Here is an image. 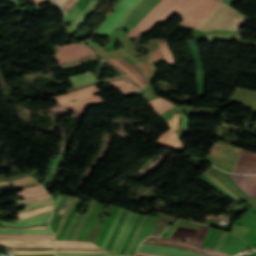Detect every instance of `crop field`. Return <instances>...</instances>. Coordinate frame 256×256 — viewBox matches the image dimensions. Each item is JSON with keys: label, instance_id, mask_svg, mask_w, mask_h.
Returning a JSON list of instances; mask_svg holds the SVG:
<instances>
[{"label": "crop field", "instance_id": "crop-field-1", "mask_svg": "<svg viewBox=\"0 0 256 256\" xmlns=\"http://www.w3.org/2000/svg\"><path fill=\"white\" fill-rule=\"evenodd\" d=\"M198 2L199 0H162L127 37L138 38L144 35L156 22H165L173 12L183 18Z\"/></svg>", "mask_w": 256, "mask_h": 256}, {"label": "crop field", "instance_id": "crop-field-2", "mask_svg": "<svg viewBox=\"0 0 256 256\" xmlns=\"http://www.w3.org/2000/svg\"><path fill=\"white\" fill-rule=\"evenodd\" d=\"M246 18L234 9L223 3H219L213 13L197 29L210 30H234L237 31Z\"/></svg>", "mask_w": 256, "mask_h": 256}, {"label": "crop field", "instance_id": "crop-field-3", "mask_svg": "<svg viewBox=\"0 0 256 256\" xmlns=\"http://www.w3.org/2000/svg\"><path fill=\"white\" fill-rule=\"evenodd\" d=\"M103 60L110 63L116 70L121 72L127 78V80L130 81L138 89H141L150 84L144 73L137 65H132L123 59Z\"/></svg>", "mask_w": 256, "mask_h": 256}, {"label": "crop field", "instance_id": "crop-field-4", "mask_svg": "<svg viewBox=\"0 0 256 256\" xmlns=\"http://www.w3.org/2000/svg\"><path fill=\"white\" fill-rule=\"evenodd\" d=\"M129 0H122L116 7L115 11L110 13L109 17L104 21V23L99 27L98 34L103 30L104 26L108 24L113 18L121 11V9L125 6V4ZM141 0H130L126 6L122 9V11L115 17V19L105 26L102 31V35L108 36L111 31L114 30L116 26H118L130 13V11L140 2Z\"/></svg>", "mask_w": 256, "mask_h": 256}, {"label": "crop field", "instance_id": "crop-field-5", "mask_svg": "<svg viewBox=\"0 0 256 256\" xmlns=\"http://www.w3.org/2000/svg\"><path fill=\"white\" fill-rule=\"evenodd\" d=\"M222 1V0H220ZM216 0H201L196 8L182 22L190 27L196 28L203 22L215 9L220 2Z\"/></svg>", "mask_w": 256, "mask_h": 256}, {"label": "crop field", "instance_id": "crop-field-6", "mask_svg": "<svg viewBox=\"0 0 256 256\" xmlns=\"http://www.w3.org/2000/svg\"><path fill=\"white\" fill-rule=\"evenodd\" d=\"M159 2L160 0H143L120 26L128 31L132 30Z\"/></svg>", "mask_w": 256, "mask_h": 256}, {"label": "crop field", "instance_id": "crop-field-7", "mask_svg": "<svg viewBox=\"0 0 256 256\" xmlns=\"http://www.w3.org/2000/svg\"><path fill=\"white\" fill-rule=\"evenodd\" d=\"M58 51L59 54L55 58L60 62L58 64L70 62L93 54L89 48L76 43L61 46Z\"/></svg>", "mask_w": 256, "mask_h": 256}, {"label": "crop field", "instance_id": "crop-field-8", "mask_svg": "<svg viewBox=\"0 0 256 256\" xmlns=\"http://www.w3.org/2000/svg\"><path fill=\"white\" fill-rule=\"evenodd\" d=\"M197 231H198V229L177 227V229L174 232L171 239L192 243L196 236ZM147 240L180 244V245L190 246V247H194V248H198V249H202V250L204 249V247H201L199 245L183 243V242H178V241H172V240H167V239H158V238H154V237H149V238H147Z\"/></svg>", "mask_w": 256, "mask_h": 256}, {"label": "crop field", "instance_id": "crop-field-9", "mask_svg": "<svg viewBox=\"0 0 256 256\" xmlns=\"http://www.w3.org/2000/svg\"><path fill=\"white\" fill-rule=\"evenodd\" d=\"M137 252L149 253L154 255H166V256H201L188 251L178 250L175 248L148 245V244H141Z\"/></svg>", "mask_w": 256, "mask_h": 256}, {"label": "crop field", "instance_id": "crop-field-10", "mask_svg": "<svg viewBox=\"0 0 256 256\" xmlns=\"http://www.w3.org/2000/svg\"><path fill=\"white\" fill-rule=\"evenodd\" d=\"M164 62L166 61L158 45L155 46L154 49L152 50L151 56L141 60H137V63L146 72L148 77L156 74L153 64L164 63Z\"/></svg>", "mask_w": 256, "mask_h": 256}, {"label": "crop field", "instance_id": "crop-field-11", "mask_svg": "<svg viewBox=\"0 0 256 256\" xmlns=\"http://www.w3.org/2000/svg\"><path fill=\"white\" fill-rule=\"evenodd\" d=\"M101 92L102 91L100 89H98L96 86H94V87H90V88H87V89H84V90H81L78 92L61 95V96H58V97H55L52 99L58 101L60 104H63V103L74 101L78 98H82V97H86V96H90V95H96Z\"/></svg>", "mask_w": 256, "mask_h": 256}, {"label": "crop field", "instance_id": "crop-field-12", "mask_svg": "<svg viewBox=\"0 0 256 256\" xmlns=\"http://www.w3.org/2000/svg\"><path fill=\"white\" fill-rule=\"evenodd\" d=\"M103 102L104 101L100 97L93 96V97L81 99V100H78L77 102L69 103L66 105L75 108V109H73L74 112H73L72 117H80L81 114H83L85 112L87 106L98 104V103H103Z\"/></svg>", "mask_w": 256, "mask_h": 256}, {"label": "crop field", "instance_id": "crop-field-13", "mask_svg": "<svg viewBox=\"0 0 256 256\" xmlns=\"http://www.w3.org/2000/svg\"><path fill=\"white\" fill-rule=\"evenodd\" d=\"M3 246L12 247H54V241H12L0 240Z\"/></svg>", "mask_w": 256, "mask_h": 256}, {"label": "crop field", "instance_id": "crop-field-14", "mask_svg": "<svg viewBox=\"0 0 256 256\" xmlns=\"http://www.w3.org/2000/svg\"><path fill=\"white\" fill-rule=\"evenodd\" d=\"M100 1L91 0L90 3L85 7V9L80 13V15L76 18L73 24L67 29L69 35L73 33L77 27L90 16V14L95 10Z\"/></svg>", "mask_w": 256, "mask_h": 256}, {"label": "crop field", "instance_id": "crop-field-15", "mask_svg": "<svg viewBox=\"0 0 256 256\" xmlns=\"http://www.w3.org/2000/svg\"><path fill=\"white\" fill-rule=\"evenodd\" d=\"M177 136L172 132L169 128L158 140L154 145L159 147L167 148L171 150L174 144L177 142Z\"/></svg>", "mask_w": 256, "mask_h": 256}, {"label": "crop field", "instance_id": "crop-field-16", "mask_svg": "<svg viewBox=\"0 0 256 256\" xmlns=\"http://www.w3.org/2000/svg\"><path fill=\"white\" fill-rule=\"evenodd\" d=\"M99 57H128L121 49L113 52H105L97 43L92 42L91 39L85 41Z\"/></svg>", "mask_w": 256, "mask_h": 256}, {"label": "crop field", "instance_id": "crop-field-17", "mask_svg": "<svg viewBox=\"0 0 256 256\" xmlns=\"http://www.w3.org/2000/svg\"><path fill=\"white\" fill-rule=\"evenodd\" d=\"M143 243L167 245V246H171V247H175V248H180V249H184V250H189V251H192V252H194V253L201 254V255H206V256H217V255H220V256H231V255H227V254H224V253H221V252H218V251H215V250L207 249V248H205L204 250H205V251H208V252H211V253H214V254H217V255H214V254H211V253H208V252H205V251H200V250H198V249L189 248V247H184V246H179V245H173V244H165V243L151 242V241H146V240H144Z\"/></svg>", "mask_w": 256, "mask_h": 256}, {"label": "crop field", "instance_id": "crop-field-18", "mask_svg": "<svg viewBox=\"0 0 256 256\" xmlns=\"http://www.w3.org/2000/svg\"><path fill=\"white\" fill-rule=\"evenodd\" d=\"M17 194L19 195V197L24 199V198L33 197V196L46 195L48 193L43 190L41 185H38V186L26 188L22 192H18Z\"/></svg>", "mask_w": 256, "mask_h": 256}, {"label": "crop field", "instance_id": "crop-field-19", "mask_svg": "<svg viewBox=\"0 0 256 256\" xmlns=\"http://www.w3.org/2000/svg\"><path fill=\"white\" fill-rule=\"evenodd\" d=\"M74 87L96 81L91 72L70 77Z\"/></svg>", "mask_w": 256, "mask_h": 256}, {"label": "crop field", "instance_id": "crop-field-20", "mask_svg": "<svg viewBox=\"0 0 256 256\" xmlns=\"http://www.w3.org/2000/svg\"><path fill=\"white\" fill-rule=\"evenodd\" d=\"M49 217L50 216L45 217L44 215H42V216L35 217L33 219L20 221V222H18V224L3 222V221L1 222V224L10 225V226H29V225H33V224H37V223H41V222H48Z\"/></svg>", "mask_w": 256, "mask_h": 256}, {"label": "crop field", "instance_id": "crop-field-21", "mask_svg": "<svg viewBox=\"0 0 256 256\" xmlns=\"http://www.w3.org/2000/svg\"><path fill=\"white\" fill-rule=\"evenodd\" d=\"M0 234H45L53 235L50 229L43 230H0Z\"/></svg>", "mask_w": 256, "mask_h": 256}, {"label": "crop field", "instance_id": "crop-field-22", "mask_svg": "<svg viewBox=\"0 0 256 256\" xmlns=\"http://www.w3.org/2000/svg\"><path fill=\"white\" fill-rule=\"evenodd\" d=\"M163 54H164V57L167 61V63L171 66H174L175 67V63H174V58L171 54V50L169 49L168 45H167V42L166 40H160V39H156Z\"/></svg>", "mask_w": 256, "mask_h": 256}, {"label": "crop field", "instance_id": "crop-field-23", "mask_svg": "<svg viewBox=\"0 0 256 256\" xmlns=\"http://www.w3.org/2000/svg\"><path fill=\"white\" fill-rule=\"evenodd\" d=\"M149 103L151 104L152 108L156 112L161 110V109H164L166 107H169V106L173 105L172 103L168 102L167 100H165V99H163L161 97H159V98H157V99H155L153 101H150Z\"/></svg>", "mask_w": 256, "mask_h": 256}, {"label": "crop field", "instance_id": "crop-field-24", "mask_svg": "<svg viewBox=\"0 0 256 256\" xmlns=\"http://www.w3.org/2000/svg\"><path fill=\"white\" fill-rule=\"evenodd\" d=\"M209 228L210 227H207V226L200 227V230L193 243L202 245Z\"/></svg>", "mask_w": 256, "mask_h": 256}, {"label": "crop field", "instance_id": "crop-field-25", "mask_svg": "<svg viewBox=\"0 0 256 256\" xmlns=\"http://www.w3.org/2000/svg\"><path fill=\"white\" fill-rule=\"evenodd\" d=\"M0 237H9V238H54V236H45V235H0Z\"/></svg>", "mask_w": 256, "mask_h": 256}, {"label": "crop field", "instance_id": "crop-field-26", "mask_svg": "<svg viewBox=\"0 0 256 256\" xmlns=\"http://www.w3.org/2000/svg\"><path fill=\"white\" fill-rule=\"evenodd\" d=\"M181 118H182V124H180V126L176 132L178 134L179 138H181V136L184 134L186 125H187V117H186L184 111L181 112Z\"/></svg>", "mask_w": 256, "mask_h": 256}, {"label": "crop field", "instance_id": "crop-field-27", "mask_svg": "<svg viewBox=\"0 0 256 256\" xmlns=\"http://www.w3.org/2000/svg\"><path fill=\"white\" fill-rule=\"evenodd\" d=\"M82 10L80 9V7H78L77 5L69 12V14L66 16L65 21L68 22H72L74 20L75 17L78 16V14L81 12Z\"/></svg>", "mask_w": 256, "mask_h": 256}, {"label": "crop field", "instance_id": "crop-field-28", "mask_svg": "<svg viewBox=\"0 0 256 256\" xmlns=\"http://www.w3.org/2000/svg\"><path fill=\"white\" fill-rule=\"evenodd\" d=\"M168 216L165 214H162L160 220L158 221L155 229L153 230L152 234L153 236H157L158 232L160 231V229L162 228L163 224L165 223V221L167 220Z\"/></svg>", "mask_w": 256, "mask_h": 256}, {"label": "crop field", "instance_id": "crop-field-29", "mask_svg": "<svg viewBox=\"0 0 256 256\" xmlns=\"http://www.w3.org/2000/svg\"><path fill=\"white\" fill-rule=\"evenodd\" d=\"M49 210H52V206L45 207V208H40V209H36V210L30 211V212L20 214L19 219L23 218V217L31 216V215H34V214H37V213H40V212L49 211Z\"/></svg>", "mask_w": 256, "mask_h": 256}, {"label": "crop field", "instance_id": "crop-field-30", "mask_svg": "<svg viewBox=\"0 0 256 256\" xmlns=\"http://www.w3.org/2000/svg\"><path fill=\"white\" fill-rule=\"evenodd\" d=\"M121 79H123V77L91 83V84H88V85L77 87L76 89H73V90H69L68 93L73 92V91H77V90H81V89H84V88H87V87H90V86H94V85H97L99 83H106V82H111V81H116V80H121Z\"/></svg>", "mask_w": 256, "mask_h": 256}, {"label": "crop field", "instance_id": "crop-field-31", "mask_svg": "<svg viewBox=\"0 0 256 256\" xmlns=\"http://www.w3.org/2000/svg\"><path fill=\"white\" fill-rule=\"evenodd\" d=\"M180 119L179 114H175L167 123L169 126L176 131L178 125H179Z\"/></svg>", "mask_w": 256, "mask_h": 256}, {"label": "crop field", "instance_id": "crop-field-32", "mask_svg": "<svg viewBox=\"0 0 256 256\" xmlns=\"http://www.w3.org/2000/svg\"><path fill=\"white\" fill-rule=\"evenodd\" d=\"M48 205H52V201L42 202V203L34 204L31 206H27V207H25V211H29V210L40 208V207H45ZM25 211H23V212H25ZM20 213H22V212H19L18 214H20Z\"/></svg>", "mask_w": 256, "mask_h": 256}, {"label": "crop field", "instance_id": "crop-field-33", "mask_svg": "<svg viewBox=\"0 0 256 256\" xmlns=\"http://www.w3.org/2000/svg\"><path fill=\"white\" fill-rule=\"evenodd\" d=\"M58 1L60 2V4L62 5V7L67 13L68 10L72 7V5L76 3L78 0H58Z\"/></svg>", "mask_w": 256, "mask_h": 256}, {"label": "crop field", "instance_id": "crop-field-34", "mask_svg": "<svg viewBox=\"0 0 256 256\" xmlns=\"http://www.w3.org/2000/svg\"><path fill=\"white\" fill-rule=\"evenodd\" d=\"M109 86H112L115 89H121V88H126L127 87V83L125 80L123 81H118V82H111L108 84Z\"/></svg>", "mask_w": 256, "mask_h": 256}, {"label": "crop field", "instance_id": "crop-field-35", "mask_svg": "<svg viewBox=\"0 0 256 256\" xmlns=\"http://www.w3.org/2000/svg\"><path fill=\"white\" fill-rule=\"evenodd\" d=\"M75 254H81V253H75ZM106 254V253H102ZM57 256H111L110 254L106 255H71V254H57Z\"/></svg>", "mask_w": 256, "mask_h": 256}, {"label": "crop field", "instance_id": "crop-field-36", "mask_svg": "<svg viewBox=\"0 0 256 256\" xmlns=\"http://www.w3.org/2000/svg\"><path fill=\"white\" fill-rule=\"evenodd\" d=\"M73 199L72 196H70V198L68 199V201L64 204V206L62 207L61 211L59 214H63L64 210L68 207V205L70 204L71 200Z\"/></svg>", "mask_w": 256, "mask_h": 256}, {"label": "crop field", "instance_id": "crop-field-37", "mask_svg": "<svg viewBox=\"0 0 256 256\" xmlns=\"http://www.w3.org/2000/svg\"><path fill=\"white\" fill-rule=\"evenodd\" d=\"M56 250L103 251L101 249H56Z\"/></svg>", "mask_w": 256, "mask_h": 256}, {"label": "crop field", "instance_id": "crop-field-38", "mask_svg": "<svg viewBox=\"0 0 256 256\" xmlns=\"http://www.w3.org/2000/svg\"><path fill=\"white\" fill-rule=\"evenodd\" d=\"M49 1H54V0H34L33 2L35 3L36 6H38Z\"/></svg>", "mask_w": 256, "mask_h": 256}, {"label": "crop field", "instance_id": "crop-field-39", "mask_svg": "<svg viewBox=\"0 0 256 256\" xmlns=\"http://www.w3.org/2000/svg\"><path fill=\"white\" fill-rule=\"evenodd\" d=\"M48 197H50V195L37 197V198H31V199H26V200H21V201H17V202L22 203V202H27V201H31V200H35V199H40V198H48Z\"/></svg>", "mask_w": 256, "mask_h": 256}, {"label": "crop field", "instance_id": "crop-field-40", "mask_svg": "<svg viewBox=\"0 0 256 256\" xmlns=\"http://www.w3.org/2000/svg\"><path fill=\"white\" fill-rule=\"evenodd\" d=\"M120 91L124 94L125 97L133 95V93L129 89H122Z\"/></svg>", "mask_w": 256, "mask_h": 256}, {"label": "crop field", "instance_id": "crop-field-41", "mask_svg": "<svg viewBox=\"0 0 256 256\" xmlns=\"http://www.w3.org/2000/svg\"><path fill=\"white\" fill-rule=\"evenodd\" d=\"M48 200H51V198L35 200V201H32V202L25 203V204H20V205L23 206V205H27V204H31V203H37V202L48 201Z\"/></svg>", "mask_w": 256, "mask_h": 256}, {"label": "crop field", "instance_id": "crop-field-42", "mask_svg": "<svg viewBox=\"0 0 256 256\" xmlns=\"http://www.w3.org/2000/svg\"><path fill=\"white\" fill-rule=\"evenodd\" d=\"M173 150H177L181 152L182 144L178 141L177 144L174 146Z\"/></svg>", "mask_w": 256, "mask_h": 256}, {"label": "crop field", "instance_id": "crop-field-43", "mask_svg": "<svg viewBox=\"0 0 256 256\" xmlns=\"http://www.w3.org/2000/svg\"><path fill=\"white\" fill-rule=\"evenodd\" d=\"M63 198V196H59L54 202V209L56 208V206L59 204V202L61 201V199Z\"/></svg>", "mask_w": 256, "mask_h": 256}, {"label": "crop field", "instance_id": "crop-field-44", "mask_svg": "<svg viewBox=\"0 0 256 256\" xmlns=\"http://www.w3.org/2000/svg\"><path fill=\"white\" fill-rule=\"evenodd\" d=\"M32 177L29 178H25V179H20V180H15V181H11V182H6V183H1L0 185H4V184H8V183H13V182H17V181H22V180H27V179H31Z\"/></svg>", "mask_w": 256, "mask_h": 256}, {"label": "crop field", "instance_id": "crop-field-45", "mask_svg": "<svg viewBox=\"0 0 256 256\" xmlns=\"http://www.w3.org/2000/svg\"><path fill=\"white\" fill-rule=\"evenodd\" d=\"M129 89L135 94V95H137V94H139V92L137 91V90H135L130 84H129Z\"/></svg>", "mask_w": 256, "mask_h": 256}, {"label": "crop field", "instance_id": "crop-field-46", "mask_svg": "<svg viewBox=\"0 0 256 256\" xmlns=\"http://www.w3.org/2000/svg\"><path fill=\"white\" fill-rule=\"evenodd\" d=\"M4 239V238H0ZM13 240H54V239H13Z\"/></svg>", "mask_w": 256, "mask_h": 256}, {"label": "crop field", "instance_id": "crop-field-47", "mask_svg": "<svg viewBox=\"0 0 256 256\" xmlns=\"http://www.w3.org/2000/svg\"><path fill=\"white\" fill-rule=\"evenodd\" d=\"M50 212H52V211H50ZM50 212H45V213H41V214H45L46 215V214H48ZM41 214H37V215L31 216V217H35V216H38V215H41ZM31 217L23 218V219H20V220L28 219V218H31ZM17 221H19V220H17Z\"/></svg>", "mask_w": 256, "mask_h": 256}, {"label": "crop field", "instance_id": "crop-field-48", "mask_svg": "<svg viewBox=\"0 0 256 256\" xmlns=\"http://www.w3.org/2000/svg\"><path fill=\"white\" fill-rule=\"evenodd\" d=\"M56 252H75V251H56ZM81 253H102V252H81Z\"/></svg>", "mask_w": 256, "mask_h": 256}, {"label": "crop field", "instance_id": "crop-field-49", "mask_svg": "<svg viewBox=\"0 0 256 256\" xmlns=\"http://www.w3.org/2000/svg\"><path fill=\"white\" fill-rule=\"evenodd\" d=\"M33 180H34V179L27 180V181H22V182H17V183H13V184H11V185L13 186V185H17V184H21V183H25V182L33 181Z\"/></svg>", "mask_w": 256, "mask_h": 256}, {"label": "crop field", "instance_id": "crop-field-50", "mask_svg": "<svg viewBox=\"0 0 256 256\" xmlns=\"http://www.w3.org/2000/svg\"><path fill=\"white\" fill-rule=\"evenodd\" d=\"M42 228H49L48 226H44V227H36V228H29V229H42ZM1 229H9V228H1Z\"/></svg>", "mask_w": 256, "mask_h": 256}, {"label": "crop field", "instance_id": "crop-field-51", "mask_svg": "<svg viewBox=\"0 0 256 256\" xmlns=\"http://www.w3.org/2000/svg\"><path fill=\"white\" fill-rule=\"evenodd\" d=\"M11 252H19V251H11ZM32 252H54V251H32Z\"/></svg>", "mask_w": 256, "mask_h": 256}, {"label": "crop field", "instance_id": "crop-field-52", "mask_svg": "<svg viewBox=\"0 0 256 256\" xmlns=\"http://www.w3.org/2000/svg\"><path fill=\"white\" fill-rule=\"evenodd\" d=\"M16 254H40V253H16Z\"/></svg>", "mask_w": 256, "mask_h": 256}, {"label": "crop field", "instance_id": "crop-field-53", "mask_svg": "<svg viewBox=\"0 0 256 256\" xmlns=\"http://www.w3.org/2000/svg\"><path fill=\"white\" fill-rule=\"evenodd\" d=\"M139 255H145V256H154V255H149V254H142V253H137Z\"/></svg>", "mask_w": 256, "mask_h": 256}, {"label": "crop field", "instance_id": "crop-field-54", "mask_svg": "<svg viewBox=\"0 0 256 256\" xmlns=\"http://www.w3.org/2000/svg\"><path fill=\"white\" fill-rule=\"evenodd\" d=\"M0 256H2V255H0Z\"/></svg>", "mask_w": 256, "mask_h": 256}, {"label": "crop field", "instance_id": "crop-field-55", "mask_svg": "<svg viewBox=\"0 0 256 256\" xmlns=\"http://www.w3.org/2000/svg\"><path fill=\"white\" fill-rule=\"evenodd\" d=\"M0 1H2V0H0Z\"/></svg>", "mask_w": 256, "mask_h": 256}]
</instances>
